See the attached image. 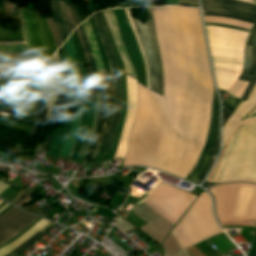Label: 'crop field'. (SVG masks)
<instances>
[{
    "instance_id": "60",
    "label": "crop field",
    "mask_w": 256,
    "mask_h": 256,
    "mask_svg": "<svg viewBox=\"0 0 256 256\" xmlns=\"http://www.w3.org/2000/svg\"><path fill=\"white\" fill-rule=\"evenodd\" d=\"M166 4H177V0H168Z\"/></svg>"
},
{
    "instance_id": "54",
    "label": "crop field",
    "mask_w": 256,
    "mask_h": 256,
    "mask_svg": "<svg viewBox=\"0 0 256 256\" xmlns=\"http://www.w3.org/2000/svg\"><path fill=\"white\" fill-rule=\"evenodd\" d=\"M30 212H35L36 209H38V207L32 205V206H29V207H22Z\"/></svg>"
},
{
    "instance_id": "28",
    "label": "crop field",
    "mask_w": 256,
    "mask_h": 256,
    "mask_svg": "<svg viewBox=\"0 0 256 256\" xmlns=\"http://www.w3.org/2000/svg\"><path fill=\"white\" fill-rule=\"evenodd\" d=\"M204 21L205 22H219L223 24H228V25H233L237 27H242V28H252V24L240 22V21H235V20H230V19H225V18H219V17H214V16H204Z\"/></svg>"
},
{
    "instance_id": "35",
    "label": "crop field",
    "mask_w": 256,
    "mask_h": 256,
    "mask_svg": "<svg viewBox=\"0 0 256 256\" xmlns=\"http://www.w3.org/2000/svg\"><path fill=\"white\" fill-rule=\"evenodd\" d=\"M79 28H80L82 37H83V39H84L85 45H86V47H87V53H88L89 58H90V60H91L93 73H94L95 78H96V86H97V87H100L99 79H98V77L96 76V73H95V70H96L95 62H94V59H93V57H92V55H91L90 48H89V44H88V41H87V39H86V36H85L84 30H83V28H82V25H80Z\"/></svg>"
},
{
    "instance_id": "29",
    "label": "crop field",
    "mask_w": 256,
    "mask_h": 256,
    "mask_svg": "<svg viewBox=\"0 0 256 256\" xmlns=\"http://www.w3.org/2000/svg\"><path fill=\"white\" fill-rule=\"evenodd\" d=\"M51 8H52V12H53L55 23H56V25H57L60 33H61L63 41H65L67 36H68V34H67L66 29H65V27L63 25V22H62V20L60 18L58 7H57V1L56 0H51Z\"/></svg>"
},
{
    "instance_id": "7",
    "label": "crop field",
    "mask_w": 256,
    "mask_h": 256,
    "mask_svg": "<svg viewBox=\"0 0 256 256\" xmlns=\"http://www.w3.org/2000/svg\"><path fill=\"white\" fill-rule=\"evenodd\" d=\"M19 10L33 63L40 67L56 50L52 35L43 15L27 8Z\"/></svg>"
},
{
    "instance_id": "15",
    "label": "crop field",
    "mask_w": 256,
    "mask_h": 256,
    "mask_svg": "<svg viewBox=\"0 0 256 256\" xmlns=\"http://www.w3.org/2000/svg\"><path fill=\"white\" fill-rule=\"evenodd\" d=\"M202 6L256 16V6L235 0H201Z\"/></svg>"
},
{
    "instance_id": "57",
    "label": "crop field",
    "mask_w": 256,
    "mask_h": 256,
    "mask_svg": "<svg viewBox=\"0 0 256 256\" xmlns=\"http://www.w3.org/2000/svg\"><path fill=\"white\" fill-rule=\"evenodd\" d=\"M239 1H243V2H247V3H251V4L256 5V0H239Z\"/></svg>"
},
{
    "instance_id": "62",
    "label": "crop field",
    "mask_w": 256,
    "mask_h": 256,
    "mask_svg": "<svg viewBox=\"0 0 256 256\" xmlns=\"http://www.w3.org/2000/svg\"><path fill=\"white\" fill-rule=\"evenodd\" d=\"M1 1H2L3 12H4L5 15H7L5 7H4V1L3 0H1Z\"/></svg>"
},
{
    "instance_id": "32",
    "label": "crop field",
    "mask_w": 256,
    "mask_h": 256,
    "mask_svg": "<svg viewBox=\"0 0 256 256\" xmlns=\"http://www.w3.org/2000/svg\"><path fill=\"white\" fill-rule=\"evenodd\" d=\"M0 33H22L21 22H18V23L0 22Z\"/></svg>"
},
{
    "instance_id": "56",
    "label": "crop field",
    "mask_w": 256,
    "mask_h": 256,
    "mask_svg": "<svg viewBox=\"0 0 256 256\" xmlns=\"http://www.w3.org/2000/svg\"><path fill=\"white\" fill-rule=\"evenodd\" d=\"M71 7H72V10H73L75 19H76V21H77V24H80L79 19H78L77 14H76V11H75V9H74V6L71 5Z\"/></svg>"
},
{
    "instance_id": "11",
    "label": "crop field",
    "mask_w": 256,
    "mask_h": 256,
    "mask_svg": "<svg viewBox=\"0 0 256 256\" xmlns=\"http://www.w3.org/2000/svg\"><path fill=\"white\" fill-rule=\"evenodd\" d=\"M37 217L12 208L0 218V244L11 239L31 224Z\"/></svg>"
},
{
    "instance_id": "17",
    "label": "crop field",
    "mask_w": 256,
    "mask_h": 256,
    "mask_svg": "<svg viewBox=\"0 0 256 256\" xmlns=\"http://www.w3.org/2000/svg\"><path fill=\"white\" fill-rule=\"evenodd\" d=\"M251 55H252V46H246V57H245V63H244V69L242 75L238 78L239 81L247 82L249 83L252 76H247L250 68L251 63ZM247 84L236 81L232 87L227 91V93H230L238 98L242 95L246 88Z\"/></svg>"
},
{
    "instance_id": "34",
    "label": "crop field",
    "mask_w": 256,
    "mask_h": 256,
    "mask_svg": "<svg viewBox=\"0 0 256 256\" xmlns=\"http://www.w3.org/2000/svg\"><path fill=\"white\" fill-rule=\"evenodd\" d=\"M241 101L242 100L229 94L222 107L233 113Z\"/></svg>"
},
{
    "instance_id": "6",
    "label": "crop field",
    "mask_w": 256,
    "mask_h": 256,
    "mask_svg": "<svg viewBox=\"0 0 256 256\" xmlns=\"http://www.w3.org/2000/svg\"><path fill=\"white\" fill-rule=\"evenodd\" d=\"M82 25L85 30L87 39L89 41L92 55L98 67V72L99 73L105 72L103 68L101 56L98 50V46L94 38L89 20L82 23ZM99 76H100V80L103 85L104 91H102V100H101V106H100V111L98 115L95 136L89 146L84 162H91L99 151L97 147L103 146V143L106 140V136H107V132L110 124V115H111L112 101H113L112 78H111V74H107L108 80H109V85H108L105 73L99 74ZM108 97H109V106H108ZM107 106H108V109H107Z\"/></svg>"
},
{
    "instance_id": "24",
    "label": "crop field",
    "mask_w": 256,
    "mask_h": 256,
    "mask_svg": "<svg viewBox=\"0 0 256 256\" xmlns=\"http://www.w3.org/2000/svg\"><path fill=\"white\" fill-rule=\"evenodd\" d=\"M55 226V224L49 222L48 224H46L42 229H40L37 233H35L33 236L35 237H39L42 234L47 233L49 230H51L53 227ZM43 236V235H42ZM41 236V237H42ZM40 238V237H39ZM38 238V239H39ZM34 237L29 238L26 242H24L22 245H20L19 247H17L16 249L12 250L13 252L20 254L22 253L26 248H28L30 245H32L36 240H38ZM10 252L4 256H17V254Z\"/></svg>"
},
{
    "instance_id": "50",
    "label": "crop field",
    "mask_w": 256,
    "mask_h": 256,
    "mask_svg": "<svg viewBox=\"0 0 256 256\" xmlns=\"http://www.w3.org/2000/svg\"><path fill=\"white\" fill-rule=\"evenodd\" d=\"M255 250H256V232H255V235H254L252 244H251V248H250L249 255H250V256H254Z\"/></svg>"
},
{
    "instance_id": "53",
    "label": "crop field",
    "mask_w": 256,
    "mask_h": 256,
    "mask_svg": "<svg viewBox=\"0 0 256 256\" xmlns=\"http://www.w3.org/2000/svg\"><path fill=\"white\" fill-rule=\"evenodd\" d=\"M25 42H17V43H0V46H11V45H22Z\"/></svg>"
},
{
    "instance_id": "27",
    "label": "crop field",
    "mask_w": 256,
    "mask_h": 256,
    "mask_svg": "<svg viewBox=\"0 0 256 256\" xmlns=\"http://www.w3.org/2000/svg\"><path fill=\"white\" fill-rule=\"evenodd\" d=\"M99 106H100V92L97 93L96 108H95V113H94V118H93L91 131L89 133L86 144H84V143L82 144L78 157H81V158L84 157L87 146H88L89 142L91 141V139L93 138L94 130H95V126H96L97 115H98V111H99Z\"/></svg>"
},
{
    "instance_id": "2",
    "label": "crop field",
    "mask_w": 256,
    "mask_h": 256,
    "mask_svg": "<svg viewBox=\"0 0 256 256\" xmlns=\"http://www.w3.org/2000/svg\"><path fill=\"white\" fill-rule=\"evenodd\" d=\"M206 30L218 87L228 90L242 72L248 33L217 26Z\"/></svg>"
},
{
    "instance_id": "69",
    "label": "crop field",
    "mask_w": 256,
    "mask_h": 256,
    "mask_svg": "<svg viewBox=\"0 0 256 256\" xmlns=\"http://www.w3.org/2000/svg\"><path fill=\"white\" fill-rule=\"evenodd\" d=\"M255 75H256V73H255Z\"/></svg>"
},
{
    "instance_id": "38",
    "label": "crop field",
    "mask_w": 256,
    "mask_h": 256,
    "mask_svg": "<svg viewBox=\"0 0 256 256\" xmlns=\"http://www.w3.org/2000/svg\"><path fill=\"white\" fill-rule=\"evenodd\" d=\"M218 147H219V138L217 140L216 147L214 149V152H213V154L210 158V161H209L208 165L206 166L205 170L203 171V173L200 175V177L196 181H201L203 179V177L206 175V173L208 172V170H209V168H210V166H211V164H212V162H213V160H214V158H215V156L218 152Z\"/></svg>"
},
{
    "instance_id": "51",
    "label": "crop field",
    "mask_w": 256,
    "mask_h": 256,
    "mask_svg": "<svg viewBox=\"0 0 256 256\" xmlns=\"http://www.w3.org/2000/svg\"><path fill=\"white\" fill-rule=\"evenodd\" d=\"M205 24H206V25L224 26V27H229V28H233V29L243 30V31H247V32L250 31V30H248V29H242V28H237V27L228 26V25H223V24H218V23H205Z\"/></svg>"
},
{
    "instance_id": "16",
    "label": "crop field",
    "mask_w": 256,
    "mask_h": 256,
    "mask_svg": "<svg viewBox=\"0 0 256 256\" xmlns=\"http://www.w3.org/2000/svg\"><path fill=\"white\" fill-rule=\"evenodd\" d=\"M104 16H105V19L109 25V28H110V31L112 33V36L114 38V41L117 45V48L120 52V55L123 59V62H124V66H125V71L127 74L133 76L136 78L135 76V72H134V69L128 59V56L123 48V45H122V41H121V37H120V33H119V29H118V26H117V23H116V20L114 18V15L112 13L111 10H105V11H102Z\"/></svg>"
},
{
    "instance_id": "23",
    "label": "crop field",
    "mask_w": 256,
    "mask_h": 256,
    "mask_svg": "<svg viewBox=\"0 0 256 256\" xmlns=\"http://www.w3.org/2000/svg\"><path fill=\"white\" fill-rule=\"evenodd\" d=\"M46 223H48V221L42 219L40 222H38L34 227H32L28 232H26L20 238H18L11 244L7 245L6 247L0 249V256H3L4 254L8 253L15 247L19 246L21 243L27 240L32 234H34L36 231L42 228Z\"/></svg>"
},
{
    "instance_id": "8",
    "label": "crop field",
    "mask_w": 256,
    "mask_h": 256,
    "mask_svg": "<svg viewBox=\"0 0 256 256\" xmlns=\"http://www.w3.org/2000/svg\"><path fill=\"white\" fill-rule=\"evenodd\" d=\"M92 19L94 20L100 38L102 40L106 57L112 72L113 77V89H114V101H113V110H112V117H111V126L108 133V137L105 143L104 149H110L114 143L115 132L117 128V124L119 121L121 109H122V81H121V71L119 64L114 56V52L112 49L111 42L105 30V27L99 17V13H95L91 15Z\"/></svg>"
},
{
    "instance_id": "1",
    "label": "crop field",
    "mask_w": 256,
    "mask_h": 256,
    "mask_svg": "<svg viewBox=\"0 0 256 256\" xmlns=\"http://www.w3.org/2000/svg\"><path fill=\"white\" fill-rule=\"evenodd\" d=\"M124 10L144 60L147 89L138 82L137 110L122 165H148L185 179L203 149L213 99L199 9L152 7L164 97L150 91L148 61Z\"/></svg>"
},
{
    "instance_id": "14",
    "label": "crop field",
    "mask_w": 256,
    "mask_h": 256,
    "mask_svg": "<svg viewBox=\"0 0 256 256\" xmlns=\"http://www.w3.org/2000/svg\"><path fill=\"white\" fill-rule=\"evenodd\" d=\"M33 97L32 93H0V101L8 106V108L0 110L34 111Z\"/></svg>"
},
{
    "instance_id": "67",
    "label": "crop field",
    "mask_w": 256,
    "mask_h": 256,
    "mask_svg": "<svg viewBox=\"0 0 256 256\" xmlns=\"http://www.w3.org/2000/svg\"><path fill=\"white\" fill-rule=\"evenodd\" d=\"M253 45H256V38H255V40H254V44Z\"/></svg>"
},
{
    "instance_id": "37",
    "label": "crop field",
    "mask_w": 256,
    "mask_h": 256,
    "mask_svg": "<svg viewBox=\"0 0 256 256\" xmlns=\"http://www.w3.org/2000/svg\"><path fill=\"white\" fill-rule=\"evenodd\" d=\"M76 31H77V34H78V36H79L80 42H81V44H82V48H83V51H84V55H85V58H86V62H87L88 68H89V72H90L91 79H92V83H93V90H95V81H94V77H93V73H92V69H91L90 60H89L88 55H87V53H86L85 46H84V42H83V39H82V37H81L79 28H77Z\"/></svg>"
},
{
    "instance_id": "58",
    "label": "crop field",
    "mask_w": 256,
    "mask_h": 256,
    "mask_svg": "<svg viewBox=\"0 0 256 256\" xmlns=\"http://www.w3.org/2000/svg\"><path fill=\"white\" fill-rule=\"evenodd\" d=\"M5 184V183H4ZM9 185L5 184L2 187H0V193H2L6 188H8Z\"/></svg>"
},
{
    "instance_id": "45",
    "label": "crop field",
    "mask_w": 256,
    "mask_h": 256,
    "mask_svg": "<svg viewBox=\"0 0 256 256\" xmlns=\"http://www.w3.org/2000/svg\"><path fill=\"white\" fill-rule=\"evenodd\" d=\"M58 54H59V58H60L61 63L69 62L68 58H67V55H66L64 45H62L61 48L58 50Z\"/></svg>"
},
{
    "instance_id": "59",
    "label": "crop field",
    "mask_w": 256,
    "mask_h": 256,
    "mask_svg": "<svg viewBox=\"0 0 256 256\" xmlns=\"http://www.w3.org/2000/svg\"><path fill=\"white\" fill-rule=\"evenodd\" d=\"M12 208V206H8L3 212H1L0 213V217L3 215V214H5L9 209H11Z\"/></svg>"
},
{
    "instance_id": "5",
    "label": "crop field",
    "mask_w": 256,
    "mask_h": 256,
    "mask_svg": "<svg viewBox=\"0 0 256 256\" xmlns=\"http://www.w3.org/2000/svg\"><path fill=\"white\" fill-rule=\"evenodd\" d=\"M221 232L212 214L210 197L203 192L171 233L183 249Z\"/></svg>"
},
{
    "instance_id": "10",
    "label": "crop field",
    "mask_w": 256,
    "mask_h": 256,
    "mask_svg": "<svg viewBox=\"0 0 256 256\" xmlns=\"http://www.w3.org/2000/svg\"><path fill=\"white\" fill-rule=\"evenodd\" d=\"M148 10L150 15L148 22L145 23V25L137 19L136 22L140 30V38L143 42L150 65L151 89L163 95L161 61L153 26L151 7H149Z\"/></svg>"
},
{
    "instance_id": "33",
    "label": "crop field",
    "mask_w": 256,
    "mask_h": 256,
    "mask_svg": "<svg viewBox=\"0 0 256 256\" xmlns=\"http://www.w3.org/2000/svg\"><path fill=\"white\" fill-rule=\"evenodd\" d=\"M46 20H47L48 25L51 29V32H52V35H53V38H54V41H55L56 48H58L59 46H61L63 44L60 33H59V31H58V29H57V27H56L52 18H46Z\"/></svg>"
},
{
    "instance_id": "22",
    "label": "crop field",
    "mask_w": 256,
    "mask_h": 256,
    "mask_svg": "<svg viewBox=\"0 0 256 256\" xmlns=\"http://www.w3.org/2000/svg\"><path fill=\"white\" fill-rule=\"evenodd\" d=\"M35 84L0 81L1 92H33Z\"/></svg>"
},
{
    "instance_id": "20",
    "label": "crop field",
    "mask_w": 256,
    "mask_h": 256,
    "mask_svg": "<svg viewBox=\"0 0 256 256\" xmlns=\"http://www.w3.org/2000/svg\"><path fill=\"white\" fill-rule=\"evenodd\" d=\"M81 106L82 104L78 107L77 112L73 115L71 126H70V131L68 135L67 141H64L61 152L59 155L61 156H70L71 148L74 142V138L77 132V125H78V120H79V115L81 111Z\"/></svg>"
},
{
    "instance_id": "61",
    "label": "crop field",
    "mask_w": 256,
    "mask_h": 256,
    "mask_svg": "<svg viewBox=\"0 0 256 256\" xmlns=\"http://www.w3.org/2000/svg\"><path fill=\"white\" fill-rule=\"evenodd\" d=\"M213 102L218 103V98H217V94H216L215 90H214V99H213Z\"/></svg>"
},
{
    "instance_id": "64",
    "label": "crop field",
    "mask_w": 256,
    "mask_h": 256,
    "mask_svg": "<svg viewBox=\"0 0 256 256\" xmlns=\"http://www.w3.org/2000/svg\"><path fill=\"white\" fill-rule=\"evenodd\" d=\"M19 41H24V40H19ZM0 42H16V41H0Z\"/></svg>"
},
{
    "instance_id": "49",
    "label": "crop field",
    "mask_w": 256,
    "mask_h": 256,
    "mask_svg": "<svg viewBox=\"0 0 256 256\" xmlns=\"http://www.w3.org/2000/svg\"><path fill=\"white\" fill-rule=\"evenodd\" d=\"M232 113L222 109V127L227 122V120L230 118Z\"/></svg>"
},
{
    "instance_id": "12",
    "label": "crop field",
    "mask_w": 256,
    "mask_h": 256,
    "mask_svg": "<svg viewBox=\"0 0 256 256\" xmlns=\"http://www.w3.org/2000/svg\"><path fill=\"white\" fill-rule=\"evenodd\" d=\"M127 90H128V108L122 132L120 135L119 146L114 157L124 158L129 132L132 121L135 115L136 102H137V80L127 75Z\"/></svg>"
},
{
    "instance_id": "43",
    "label": "crop field",
    "mask_w": 256,
    "mask_h": 256,
    "mask_svg": "<svg viewBox=\"0 0 256 256\" xmlns=\"http://www.w3.org/2000/svg\"><path fill=\"white\" fill-rule=\"evenodd\" d=\"M256 71V47L253 46L252 64L248 75H254Z\"/></svg>"
},
{
    "instance_id": "41",
    "label": "crop field",
    "mask_w": 256,
    "mask_h": 256,
    "mask_svg": "<svg viewBox=\"0 0 256 256\" xmlns=\"http://www.w3.org/2000/svg\"><path fill=\"white\" fill-rule=\"evenodd\" d=\"M255 82H256V76H253V78H252V80L250 81V83H249L247 89L245 90V92L243 93V95L241 96L240 99H242L243 101L246 102V100H247V98H248V96H249V94H250V92H251V90H252V88H253Z\"/></svg>"
},
{
    "instance_id": "44",
    "label": "crop field",
    "mask_w": 256,
    "mask_h": 256,
    "mask_svg": "<svg viewBox=\"0 0 256 256\" xmlns=\"http://www.w3.org/2000/svg\"><path fill=\"white\" fill-rule=\"evenodd\" d=\"M203 14L204 15H214V16H220V17L236 19V20H240V21H244V22H248V23H252V24L255 23V21H253V20H247V19H243V18H239V17H234V16H226V15H219V14H213V13H203Z\"/></svg>"
},
{
    "instance_id": "39",
    "label": "crop field",
    "mask_w": 256,
    "mask_h": 256,
    "mask_svg": "<svg viewBox=\"0 0 256 256\" xmlns=\"http://www.w3.org/2000/svg\"><path fill=\"white\" fill-rule=\"evenodd\" d=\"M0 52H28L25 45L12 46V47H0Z\"/></svg>"
},
{
    "instance_id": "47",
    "label": "crop field",
    "mask_w": 256,
    "mask_h": 256,
    "mask_svg": "<svg viewBox=\"0 0 256 256\" xmlns=\"http://www.w3.org/2000/svg\"><path fill=\"white\" fill-rule=\"evenodd\" d=\"M0 78H35L34 74L27 75H8V76H0Z\"/></svg>"
},
{
    "instance_id": "55",
    "label": "crop field",
    "mask_w": 256,
    "mask_h": 256,
    "mask_svg": "<svg viewBox=\"0 0 256 256\" xmlns=\"http://www.w3.org/2000/svg\"><path fill=\"white\" fill-rule=\"evenodd\" d=\"M5 5H6V9H7L8 14H9V15H12V14H11L10 7H9L8 0H5Z\"/></svg>"
},
{
    "instance_id": "66",
    "label": "crop field",
    "mask_w": 256,
    "mask_h": 256,
    "mask_svg": "<svg viewBox=\"0 0 256 256\" xmlns=\"http://www.w3.org/2000/svg\"><path fill=\"white\" fill-rule=\"evenodd\" d=\"M254 112H256V108H255L252 112H250V113H254ZM250 113H249V114H250Z\"/></svg>"
},
{
    "instance_id": "26",
    "label": "crop field",
    "mask_w": 256,
    "mask_h": 256,
    "mask_svg": "<svg viewBox=\"0 0 256 256\" xmlns=\"http://www.w3.org/2000/svg\"><path fill=\"white\" fill-rule=\"evenodd\" d=\"M52 64L56 75L57 83L59 86L60 95H67L65 80L63 77L62 68L59 62L58 54L56 53L52 58Z\"/></svg>"
},
{
    "instance_id": "42",
    "label": "crop field",
    "mask_w": 256,
    "mask_h": 256,
    "mask_svg": "<svg viewBox=\"0 0 256 256\" xmlns=\"http://www.w3.org/2000/svg\"><path fill=\"white\" fill-rule=\"evenodd\" d=\"M41 219L38 218L36 221H34L30 226H28L26 229H24L23 231H21L19 234H17L15 237H13L11 240L5 242L4 244L0 245V248L6 246L7 244H9L10 242L14 241L15 239H17L19 236H21L22 234H24L26 231H28L32 226H34L38 221H40Z\"/></svg>"
},
{
    "instance_id": "25",
    "label": "crop field",
    "mask_w": 256,
    "mask_h": 256,
    "mask_svg": "<svg viewBox=\"0 0 256 256\" xmlns=\"http://www.w3.org/2000/svg\"><path fill=\"white\" fill-rule=\"evenodd\" d=\"M215 109H216V104L213 103V110H212V118H211V122H210V127H209V133H208V137H207V140H206V144H205V147L203 149V152H202V155H201V159L198 163V165L195 167V169L192 171V173L188 176V180L191 179V177L196 173V171L200 168V166L202 165L205 157H206V154H207V151H208V148H209V145L211 143V139H212V135H213V129H214V120H215Z\"/></svg>"
},
{
    "instance_id": "46",
    "label": "crop field",
    "mask_w": 256,
    "mask_h": 256,
    "mask_svg": "<svg viewBox=\"0 0 256 256\" xmlns=\"http://www.w3.org/2000/svg\"><path fill=\"white\" fill-rule=\"evenodd\" d=\"M54 206L46 203L42 208H40L36 213L45 216Z\"/></svg>"
},
{
    "instance_id": "36",
    "label": "crop field",
    "mask_w": 256,
    "mask_h": 256,
    "mask_svg": "<svg viewBox=\"0 0 256 256\" xmlns=\"http://www.w3.org/2000/svg\"><path fill=\"white\" fill-rule=\"evenodd\" d=\"M59 7H60V10L62 12V15H63V18H64V21H65V24L67 26V29L69 31V34L72 32V30L74 29L71 21H70V18H69V15H68V12H67V8L65 6V3L61 2L59 0Z\"/></svg>"
},
{
    "instance_id": "63",
    "label": "crop field",
    "mask_w": 256,
    "mask_h": 256,
    "mask_svg": "<svg viewBox=\"0 0 256 256\" xmlns=\"http://www.w3.org/2000/svg\"><path fill=\"white\" fill-rule=\"evenodd\" d=\"M7 206H8V204H6L5 206H3V207L0 209V212L3 211Z\"/></svg>"
},
{
    "instance_id": "21",
    "label": "crop field",
    "mask_w": 256,
    "mask_h": 256,
    "mask_svg": "<svg viewBox=\"0 0 256 256\" xmlns=\"http://www.w3.org/2000/svg\"><path fill=\"white\" fill-rule=\"evenodd\" d=\"M35 106H36V124L29 134V138L35 139L39 130L40 124L45 114L44 108V93L36 92L35 94Z\"/></svg>"
},
{
    "instance_id": "31",
    "label": "crop field",
    "mask_w": 256,
    "mask_h": 256,
    "mask_svg": "<svg viewBox=\"0 0 256 256\" xmlns=\"http://www.w3.org/2000/svg\"><path fill=\"white\" fill-rule=\"evenodd\" d=\"M0 61L30 62L28 53H0Z\"/></svg>"
},
{
    "instance_id": "40",
    "label": "crop field",
    "mask_w": 256,
    "mask_h": 256,
    "mask_svg": "<svg viewBox=\"0 0 256 256\" xmlns=\"http://www.w3.org/2000/svg\"><path fill=\"white\" fill-rule=\"evenodd\" d=\"M203 11H206V12H213V13H219V14H226V15L240 16V17H244V18L256 20L255 17L246 16V15H241V14H236V13H231V12H227V11L211 10V9H205V8H203Z\"/></svg>"
},
{
    "instance_id": "19",
    "label": "crop field",
    "mask_w": 256,
    "mask_h": 256,
    "mask_svg": "<svg viewBox=\"0 0 256 256\" xmlns=\"http://www.w3.org/2000/svg\"><path fill=\"white\" fill-rule=\"evenodd\" d=\"M69 61L74 73V79H75V89H76V99L75 102L81 101L82 100V80H81V75L77 67L76 59L73 53L72 45L70 38L67 39V41L64 43Z\"/></svg>"
},
{
    "instance_id": "48",
    "label": "crop field",
    "mask_w": 256,
    "mask_h": 256,
    "mask_svg": "<svg viewBox=\"0 0 256 256\" xmlns=\"http://www.w3.org/2000/svg\"><path fill=\"white\" fill-rule=\"evenodd\" d=\"M255 35H256V24L251 29V34H250V36L247 40L246 45H252L253 44V40H254Z\"/></svg>"
},
{
    "instance_id": "13",
    "label": "crop field",
    "mask_w": 256,
    "mask_h": 256,
    "mask_svg": "<svg viewBox=\"0 0 256 256\" xmlns=\"http://www.w3.org/2000/svg\"><path fill=\"white\" fill-rule=\"evenodd\" d=\"M41 71L43 77V92H45L47 104L44 120H52L59 93L50 60L43 65Z\"/></svg>"
},
{
    "instance_id": "52",
    "label": "crop field",
    "mask_w": 256,
    "mask_h": 256,
    "mask_svg": "<svg viewBox=\"0 0 256 256\" xmlns=\"http://www.w3.org/2000/svg\"><path fill=\"white\" fill-rule=\"evenodd\" d=\"M67 8H68V11H69V15H70L71 21H72L74 27H76L77 24H76V22H75V20H74V18H73V14H72V11H71V9H70V6L67 5Z\"/></svg>"
},
{
    "instance_id": "65",
    "label": "crop field",
    "mask_w": 256,
    "mask_h": 256,
    "mask_svg": "<svg viewBox=\"0 0 256 256\" xmlns=\"http://www.w3.org/2000/svg\"><path fill=\"white\" fill-rule=\"evenodd\" d=\"M23 39V38H20ZM0 40H18V39H0Z\"/></svg>"
},
{
    "instance_id": "4",
    "label": "crop field",
    "mask_w": 256,
    "mask_h": 256,
    "mask_svg": "<svg viewBox=\"0 0 256 256\" xmlns=\"http://www.w3.org/2000/svg\"><path fill=\"white\" fill-rule=\"evenodd\" d=\"M229 178L256 180V121L243 125L233 137L213 179Z\"/></svg>"
},
{
    "instance_id": "68",
    "label": "crop field",
    "mask_w": 256,
    "mask_h": 256,
    "mask_svg": "<svg viewBox=\"0 0 256 256\" xmlns=\"http://www.w3.org/2000/svg\"><path fill=\"white\" fill-rule=\"evenodd\" d=\"M3 184V182H0V185H2Z\"/></svg>"
},
{
    "instance_id": "3",
    "label": "crop field",
    "mask_w": 256,
    "mask_h": 256,
    "mask_svg": "<svg viewBox=\"0 0 256 256\" xmlns=\"http://www.w3.org/2000/svg\"><path fill=\"white\" fill-rule=\"evenodd\" d=\"M221 224L256 225V185L221 184L209 189Z\"/></svg>"
},
{
    "instance_id": "30",
    "label": "crop field",
    "mask_w": 256,
    "mask_h": 256,
    "mask_svg": "<svg viewBox=\"0 0 256 256\" xmlns=\"http://www.w3.org/2000/svg\"><path fill=\"white\" fill-rule=\"evenodd\" d=\"M217 135H218V105H217V109H216V120H215V129H214V135H213V139H212V144H211V148L207 154V157L205 159L204 164L202 165V167L198 170V172L196 173V175L193 177V179L191 181H195V179L201 174V172L204 170L212 152L213 149L215 147L216 144V140H217Z\"/></svg>"
},
{
    "instance_id": "18",
    "label": "crop field",
    "mask_w": 256,
    "mask_h": 256,
    "mask_svg": "<svg viewBox=\"0 0 256 256\" xmlns=\"http://www.w3.org/2000/svg\"><path fill=\"white\" fill-rule=\"evenodd\" d=\"M70 118H71V115L67 117L62 127H59L53 131L52 139L49 143V150H48V154L50 157H53L55 159L57 158L62 146V142L66 138L68 133Z\"/></svg>"
},
{
    "instance_id": "9",
    "label": "crop field",
    "mask_w": 256,
    "mask_h": 256,
    "mask_svg": "<svg viewBox=\"0 0 256 256\" xmlns=\"http://www.w3.org/2000/svg\"><path fill=\"white\" fill-rule=\"evenodd\" d=\"M145 197L176 222L196 199L192 194L160 182Z\"/></svg>"
}]
</instances>
